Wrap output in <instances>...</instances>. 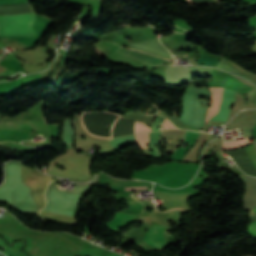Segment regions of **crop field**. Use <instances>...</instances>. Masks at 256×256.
<instances>
[{
    "label": "crop field",
    "instance_id": "9",
    "mask_svg": "<svg viewBox=\"0 0 256 256\" xmlns=\"http://www.w3.org/2000/svg\"><path fill=\"white\" fill-rule=\"evenodd\" d=\"M247 143L242 140V141H234V142H223L222 148L224 150H230V149H234V148H238L241 146L246 145Z\"/></svg>",
    "mask_w": 256,
    "mask_h": 256
},
{
    "label": "crop field",
    "instance_id": "1",
    "mask_svg": "<svg viewBox=\"0 0 256 256\" xmlns=\"http://www.w3.org/2000/svg\"><path fill=\"white\" fill-rule=\"evenodd\" d=\"M35 14L0 16V36L33 37Z\"/></svg>",
    "mask_w": 256,
    "mask_h": 256
},
{
    "label": "crop field",
    "instance_id": "3",
    "mask_svg": "<svg viewBox=\"0 0 256 256\" xmlns=\"http://www.w3.org/2000/svg\"><path fill=\"white\" fill-rule=\"evenodd\" d=\"M190 75H193L191 68H185L182 66H166L165 69L166 82L180 84Z\"/></svg>",
    "mask_w": 256,
    "mask_h": 256
},
{
    "label": "crop field",
    "instance_id": "16",
    "mask_svg": "<svg viewBox=\"0 0 256 256\" xmlns=\"http://www.w3.org/2000/svg\"><path fill=\"white\" fill-rule=\"evenodd\" d=\"M198 190V189H197ZM199 192V191H198ZM198 195V194H197ZM197 195H194V196H197ZM191 197H193V196H191ZM190 198V197H189ZM164 207V206H163ZM166 208V207H165ZM181 209H184V208H181ZM168 209L166 208V211H167ZM184 210H188V211H190V208L189 209H184Z\"/></svg>",
    "mask_w": 256,
    "mask_h": 256
},
{
    "label": "crop field",
    "instance_id": "18",
    "mask_svg": "<svg viewBox=\"0 0 256 256\" xmlns=\"http://www.w3.org/2000/svg\"><path fill=\"white\" fill-rule=\"evenodd\" d=\"M190 3H194L192 0H188Z\"/></svg>",
    "mask_w": 256,
    "mask_h": 256
},
{
    "label": "crop field",
    "instance_id": "15",
    "mask_svg": "<svg viewBox=\"0 0 256 256\" xmlns=\"http://www.w3.org/2000/svg\"><path fill=\"white\" fill-rule=\"evenodd\" d=\"M162 126L164 129L166 128H175L168 120L165 119V121L162 123Z\"/></svg>",
    "mask_w": 256,
    "mask_h": 256
},
{
    "label": "crop field",
    "instance_id": "5",
    "mask_svg": "<svg viewBox=\"0 0 256 256\" xmlns=\"http://www.w3.org/2000/svg\"><path fill=\"white\" fill-rule=\"evenodd\" d=\"M133 217L134 215H131V214H123V213L117 212L115 213L113 220L105 224L118 230V228L126 227V225L129 222L135 221Z\"/></svg>",
    "mask_w": 256,
    "mask_h": 256
},
{
    "label": "crop field",
    "instance_id": "4",
    "mask_svg": "<svg viewBox=\"0 0 256 256\" xmlns=\"http://www.w3.org/2000/svg\"><path fill=\"white\" fill-rule=\"evenodd\" d=\"M163 232L164 227L153 226L152 230L146 232L147 242L156 247L165 246Z\"/></svg>",
    "mask_w": 256,
    "mask_h": 256
},
{
    "label": "crop field",
    "instance_id": "14",
    "mask_svg": "<svg viewBox=\"0 0 256 256\" xmlns=\"http://www.w3.org/2000/svg\"><path fill=\"white\" fill-rule=\"evenodd\" d=\"M247 233L253 235L254 237H256V222L251 223L248 227ZM252 236V237H253Z\"/></svg>",
    "mask_w": 256,
    "mask_h": 256
},
{
    "label": "crop field",
    "instance_id": "11",
    "mask_svg": "<svg viewBox=\"0 0 256 256\" xmlns=\"http://www.w3.org/2000/svg\"><path fill=\"white\" fill-rule=\"evenodd\" d=\"M198 63H200V64L216 65L218 63V60L209 58V57L204 56V55H199Z\"/></svg>",
    "mask_w": 256,
    "mask_h": 256
},
{
    "label": "crop field",
    "instance_id": "7",
    "mask_svg": "<svg viewBox=\"0 0 256 256\" xmlns=\"http://www.w3.org/2000/svg\"><path fill=\"white\" fill-rule=\"evenodd\" d=\"M199 132H189L186 131L185 133V138H184V142L190 143V145L186 148L180 147L178 150H175L173 156H172V160H177L180 161L182 159V157L184 156L185 152L187 150H189L191 148V146L193 145L197 135Z\"/></svg>",
    "mask_w": 256,
    "mask_h": 256
},
{
    "label": "crop field",
    "instance_id": "12",
    "mask_svg": "<svg viewBox=\"0 0 256 256\" xmlns=\"http://www.w3.org/2000/svg\"><path fill=\"white\" fill-rule=\"evenodd\" d=\"M134 130H135V133L151 131V129L146 127L145 124L138 121L135 122Z\"/></svg>",
    "mask_w": 256,
    "mask_h": 256
},
{
    "label": "crop field",
    "instance_id": "17",
    "mask_svg": "<svg viewBox=\"0 0 256 256\" xmlns=\"http://www.w3.org/2000/svg\"><path fill=\"white\" fill-rule=\"evenodd\" d=\"M252 211L256 212V207Z\"/></svg>",
    "mask_w": 256,
    "mask_h": 256
},
{
    "label": "crop field",
    "instance_id": "13",
    "mask_svg": "<svg viewBox=\"0 0 256 256\" xmlns=\"http://www.w3.org/2000/svg\"><path fill=\"white\" fill-rule=\"evenodd\" d=\"M163 120V117L157 116L155 119L153 126H152V131H157L158 127L160 126L161 122Z\"/></svg>",
    "mask_w": 256,
    "mask_h": 256
},
{
    "label": "crop field",
    "instance_id": "8",
    "mask_svg": "<svg viewBox=\"0 0 256 256\" xmlns=\"http://www.w3.org/2000/svg\"><path fill=\"white\" fill-rule=\"evenodd\" d=\"M150 144H149V154L152 157L160 158V151L158 149V144L160 141V133L154 132L149 133Z\"/></svg>",
    "mask_w": 256,
    "mask_h": 256
},
{
    "label": "crop field",
    "instance_id": "6",
    "mask_svg": "<svg viewBox=\"0 0 256 256\" xmlns=\"http://www.w3.org/2000/svg\"><path fill=\"white\" fill-rule=\"evenodd\" d=\"M212 92L211 95V99H212V103H211V107L208 108L207 110V115H206V119H205V123L208 121V119L213 116L214 114H216L218 107L220 105V100H221V94H222V89L223 88H209Z\"/></svg>",
    "mask_w": 256,
    "mask_h": 256
},
{
    "label": "crop field",
    "instance_id": "10",
    "mask_svg": "<svg viewBox=\"0 0 256 256\" xmlns=\"http://www.w3.org/2000/svg\"><path fill=\"white\" fill-rule=\"evenodd\" d=\"M135 136H136L139 147L140 148H147L148 134L147 133H140V134H136Z\"/></svg>",
    "mask_w": 256,
    "mask_h": 256
},
{
    "label": "crop field",
    "instance_id": "2",
    "mask_svg": "<svg viewBox=\"0 0 256 256\" xmlns=\"http://www.w3.org/2000/svg\"><path fill=\"white\" fill-rule=\"evenodd\" d=\"M236 91L224 88L221 107L216 115L210 118L209 121L226 122L229 116L230 107L233 104Z\"/></svg>",
    "mask_w": 256,
    "mask_h": 256
}]
</instances>
